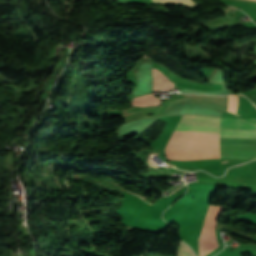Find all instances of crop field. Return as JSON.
Returning <instances> with one entry per match:
<instances>
[{
  "instance_id": "8a807250",
  "label": "crop field",
  "mask_w": 256,
  "mask_h": 256,
  "mask_svg": "<svg viewBox=\"0 0 256 256\" xmlns=\"http://www.w3.org/2000/svg\"><path fill=\"white\" fill-rule=\"evenodd\" d=\"M219 120L216 117L186 115L176 130L219 133ZM181 131L173 132L166 148L219 154V134Z\"/></svg>"
},
{
  "instance_id": "ac0d7876",
  "label": "crop field",
  "mask_w": 256,
  "mask_h": 256,
  "mask_svg": "<svg viewBox=\"0 0 256 256\" xmlns=\"http://www.w3.org/2000/svg\"><path fill=\"white\" fill-rule=\"evenodd\" d=\"M223 210L224 207L222 206H209L207 217L199 238L200 256H205L211 250L217 248L218 244L214 236V228Z\"/></svg>"
},
{
  "instance_id": "34b2d1b8",
  "label": "crop field",
  "mask_w": 256,
  "mask_h": 256,
  "mask_svg": "<svg viewBox=\"0 0 256 256\" xmlns=\"http://www.w3.org/2000/svg\"><path fill=\"white\" fill-rule=\"evenodd\" d=\"M220 158L256 159V145L221 144Z\"/></svg>"
},
{
  "instance_id": "412701ff",
  "label": "crop field",
  "mask_w": 256,
  "mask_h": 256,
  "mask_svg": "<svg viewBox=\"0 0 256 256\" xmlns=\"http://www.w3.org/2000/svg\"><path fill=\"white\" fill-rule=\"evenodd\" d=\"M220 137L256 138V131L220 129ZM220 138L221 143L256 144V139Z\"/></svg>"
},
{
  "instance_id": "f4fd0767",
  "label": "crop field",
  "mask_w": 256,
  "mask_h": 256,
  "mask_svg": "<svg viewBox=\"0 0 256 256\" xmlns=\"http://www.w3.org/2000/svg\"><path fill=\"white\" fill-rule=\"evenodd\" d=\"M220 128L256 130V119H224V118H221Z\"/></svg>"
},
{
  "instance_id": "dd49c442",
  "label": "crop field",
  "mask_w": 256,
  "mask_h": 256,
  "mask_svg": "<svg viewBox=\"0 0 256 256\" xmlns=\"http://www.w3.org/2000/svg\"><path fill=\"white\" fill-rule=\"evenodd\" d=\"M153 89H172L174 84L164 76L158 69H152Z\"/></svg>"
},
{
  "instance_id": "e52e79f7",
  "label": "crop field",
  "mask_w": 256,
  "mask_h": 256,
  "mask_svg": "<svg viewBox=\"0 0 256 256\" xmlns=\"http://www.w3.org/2000/svg\"><path fill=\"white\" fill-rule=\"evenodd\" d=\"M159 103H160L159 99L153 96L152 94L136 97L132 101L133 105H138V106L156 105Z\"/></svg>"
},
{
  "instance_id": "d8731c3e",
  "label": "crop field",
  "mask_w": 256,
  "mask_h": 256,
  "mask_svg": "<svg viewBox=\"0 0 256 256\" xmlns=\"http://www.w3.org/2000/svg\"><path fill=\"white\" fill-rule=\"evenodd\" d=\"M177 256H195V254L185 243L180 241Z\"/></svg>"
},
{
  "instance_id": "5a996713",
  "label": "crop field",
  "mask_w": 256,
  "mask_h": 256,
  "mask_svg": "<svg viewBox=\"0 0 256 256\" xmlns=\"http://www.w3.org/2000/svg\"><path fill=\"white\" fill-rule=\"evenodd\" d=\"M237 105H238V96L237 95L229 96L228 111L236 113Z\"/></svg>"
},
{
  "instance_id": "3316defc",
  "label": "crop field",
  "mask_w": 256,
  "mask_h": 256,
  "mask_svg": "<svg viewBox=\"0 0 256 256\" xmlns=\"http://www.w3.org/2000/svg\"><path fill=\"white\" fill-rule=\"evenodd\" d=\"M153 2H162V3H186L191 6L195 5L191 0H153Z\"/></svg>"
},
{
  "instance_id": "28ad6ade",
  "label": "crop field",
  "mask_w": 256,
  "mask_h": 256,
  "mask_svg": "<svg viewBox=\"0 0 256 256\" xmlns=\"http://www.w3.org/2000/svg\"><path fill=\"white\" fill-rule=\"evenodd\" d=\"M254 65H256V61H255Z\"/></svg>"
}]
</instances>
